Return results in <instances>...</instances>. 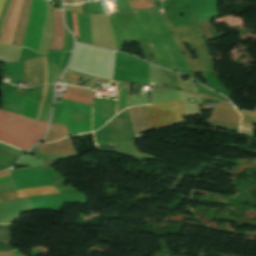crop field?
<instances>
[{
  "mask_svg": "<svg viewBox=\"0 0 256 256\" xmlns=\"http://www.w3.org/2000/svg\"><path fill=\"white\" fill-rule=\"evenodd\" d=\"M48 123L33 121L0 109V141L27 150L39 142Z\"/></svg>",
  "mask_w": 256,
  "mask_h": 256,
  "instance_id": "crop-field-1",
  "label": "crop field"
},
{
  "mask_svg": "<svg viewBox=\"0 0 256 256\" xmlns=\"http://www.w3.org/2000/svg\"><path fill=\"white\" fill-rule=\"evenodd\" d=\"M163 17L168 26L171 28L183 52L186 54L190 62L191 72L195 73L201 71H214V64L212 62L208 48L196 24L172 28L165 15H163ZM186 42H188L191 50H196L197 59L193 60L191 54L188 53L184 45Z\"/></svg>",
  "mask_w": 256,
  "mask_h": 256,
  "instance_id": "crop-field-2",
  "label": "crop field"
},
{
  "mask_svg": "<svg viewBox=\"0 0 256 256\" xmlns=\"http://www.w3.org/2000/svg\"><path fill=\"white\" fill-rule=\"evenodd\" d=\"M67 103L62 99L57 123L64 124ZM92 108L69 101L65 124L70 135L92 131Z\"/></svg>",
  "mask_w": 256,
  "mask_h": 256,
  "instance_id": "crop-field-3",
  "label": "crop field"
},
{
  "mask_svg": "<svg viewBox=\"0 0 256 256\" xmlns=\"http://www.w3.org/2000/svg\"><path fill=\"white\" fill-rule=\"evenodd\" d=\"M145 108L151 130L184 122L180 101L146 105Z\"/></svg>",
  "mask_w": 256,
  "mask_h": 256,
  "instance_id": "crop-field-4",
  "label": "crop field"
},
{
  "mask_svg": "<svg viewBox=\"0 0 256 256\" xmlns=\"http://www.w3.org/2000/svg\"><path fill=\"white\" fill-rule=\"evenodd\" d=\"M34 4H35V0H32L30 19H29L25 39H24V44H23L24 47H26L27 45ZM46 7H47V4L44 0H36L31 30H30V35H29V40L27 45L29 49H34L36 52L38 51V47H39Z\"/></svg>",
  "mask_w": 256,
  "mask_h": 256,
  "instance_id": "crop-field-5",
  "label": "crop field"
},
{
  "mask_svg": "<svg viewBox=\"0 0 256 256\" xmlns=\"http://www.w3.org/2000/svg\"><path fill=\"white\" fill-rule=\"evenodd\" d=\"M240 115L229 103L220 102L217 104L211 118L206 123L215 127L226 128L238 131Z\"/></svg>",
  "mask_w": 256,
  "mask_h": 256,
  "instance_id": "crop-field-6",
  "label": "crop field"
},
{
  "mask_svg": "<svg viewBox=\"0 0 256 256\" xmlns=\"http://www.w3.org/2000/svg\"><path fill=\"white\" fill-rule=\"evenodd\" d=\"M65 139H70V137ZM38 152L49 155H77L71 140H59L50 144H40L38 145Z\"/></svg>",
  "mask_w": 256,
  "mask_h": 256,
  "instance_id": "crop-field-7",
  "label": "crop field"
},
{
  "mask_svg": "<svg viewBox=\"0 0 256 256\" xmlns=\"http://www.w3.org/2000/svg\"><path fill=\"white\" fill-rule=\"evenodd\" d=\"M23 0H15L13 4V8L11 11V15L4 33L3 41L4 43H10L12 44L17 22H18V17L20 13V9L22 6Z\"/></svg>",
  "mask_w": 256,
  "mask_h": 256,
  "instance_id": "crop-field-8",
  "label": "crop field"
},
{
  "mask_svg": "<svg viewBox=\"0 0 256 256\" xmlns=\"http://www.w3.org/2000/svg\"><path fill=\"white\" fill-rule=\"evenodd\" d=\"M31 0H24L14 42L15 45L22 46L23 39L26 31V26L29 18V9H30Z\"/></svg>",
  "mask_w": 256,
  "mask_h": 256,
  "instance_id": "crop-field-9",
  "label": "crop field"
},
{
  "mask_svg": "<svg viewBox=\"0 0 256 256\" xmlns=\"http://www.w3.org/2000/svg\"><path fill=\"white\" fill-rule=\"evenodd\" d=\"M92 93L93 91L90 89L68 86L67 92L63 94L62 98L91 105Z\"/></svg>",
  "mask_w": 256,
  "mask_h": 256,
  "instance_id": "crop-field-10",
  "label": "crop field"
},
{
  "mask_svg": "<svg viewBox=\"0 0 256 256\" xmlns=\"http://www.w3.org/2000/svg\"><path fill=\"white\" fill-rule=\"evenodd\" d=\"M54 25H55V32H54V39H53L51 49L61 50L63 37H64V26L62 23L61 11H58L55 9H54Z\"/></svg>",
  "mask_w": 256,
  "mask_h": 256,
  "instance_id": "crop-field-11",
  "label": "crop field"
},
{
  "mask_svg": "<svg viewBox=\"0 0 256 256\" xmlns=\"http://www.w3.org/2000/svg\"><path fill=\"white\" fill-rule=\"evenodd\" d=\"M130 110H131L136 133L150 130L147 122L146 114L144 111V107L143 106L133 107V108H130Z\"/></svg>",
  "mask_w": 256,
  "mask_h": 256,
  "instance_id": "crop-field-12",
  "label": "crop field"
},
{
  "mask_svg": "<svg viewBox=\"0 0 256 256\" xmlns=\"http://www.w3.org/2000/svg\"><path fill=\"white\" fill-rule=\"evenodd\" d=\"M16 192H17V198L27 197V196H34V195H44V194L57 193L56 188L53 187V186L25 189V190H19V191H16Z\"/></svg>",
  "mask_w": 256,
  "mask_h": 256,
  "instance_id": "crop-field-13",
  "label": "crop field"
},
{
  "mask_svg": "<svg viewBox=\"0 0 256 256\" xmlns=\"http://www.w3.org/2000/svg\"><path fill=\"white\" fill-rule=\"evenodd\" d=\"M68 135L65 125L52 124L44 142H52Z\"/></svg>",
  "mask_w": 256,
  "mask_h": 256,
  "instance_id": "crop-field-14",
  "label": "crop field"
},
{
  "mask_svg": "<svg viewBox=\"0 0 256 256\" xmlns=\"http://www.w3.org/2000/svg\"><path fill=\"white\" fill-rule=\"evenodd\" d=\"M38 106V104L23 96V106L20 114L34 120L36 117Z\"/></svg>",
  "mask_w": 256,
  "mask_h": 256,
  "instance_id": "crop-field-15",
  "label": "crop field"
},
{
  "mask_svg": "<svg viewBox=\"0 0 256 256\" xmlns=\"http://www.w3.org/2000/svg\"><path fill=\"white\" fill-rule=\"evenodd\" d=\"M10 173H11V171H4V172H1V173H0V177L10 176ZM9 181H11V178H10V177L0 178V183L9 182ZM14 197H15V192L6 193V194H0V202L13 200Z\"/></svg>",
  "mask_w": 256,
  "mask_h": 256,
  "instance_id": "crop-field-16",
  "label": "crop field"
},
{
  "mask_svg": "<svg viewBox=\"0 0 256 256\" xmlns=\"http://www.w3.org/2000/svg\"><path fill=\"white\" fill-rule=\"evenodd\" d=\"M133 10L154 7L155 4L152 0H129Z\"/></svg>",
  "mask_w": 256,
  "mask_h": 256,
  "instance_id": "crop-field-17",
  "label": "crop field"
},
{
  "mask_svg": "<svg viewBox=\"0 0 256 256\" xmlns=\"http://www.w3.org/2000/svg\"><path fill=\"white\" fill-rule=\"evenodd\" d=\"M0 240H12L10 236V225H0Z\"/></svg>",
  "mask_w": 256,
  "mask_h": 256,
  "instance_id": "crop-field-18",
  "label": "crop field"
},
{
  "mask_svg": "<svg viewBox=\"0 0 256 256\" xmlns=\"http://www.w3.org/2000/svg\"><path fill=\"white\" fill-rule=\"evenodd\" d=\"M238 111L240 112V114L242 116V121L256 124V113H246L241 110H238Z\"/></svg>",
  "mask_w": 256,
  "mask_h": 256,
  "instance_id": "crop-field-19",
  "label": "crop field"
},
{
  "mask_svg": "<svg viewBox=\"0 0 256 256\" xmlns=\"http://www.w3.org/2000/svg\"><path fill=\"white\" fill-rule=\"evenodd\" d=\"M80 83V77L74 76L70 74L69 83L70 85H76L78 86Z\"/></svg>",
  "mask_w": 256,
  "mask_h": 256,
  "instance_id": "crop-field-20",
  "label": "crop field"
},
{
  "mask_svg": "<svg viewBox=\"0 0 256 256\" xmlns=\"http://www.w3.org/2000/svg\"><path fill=\"white\" fill-rule=\"evenodd\" d=\"M73 23H74V34L78 37V23L76 13H72Z\"/></svg>",
  "mask_w": 256,
  "mask_h": 256,
  "instance_id": "crop-field-21",
  "label": "crop field"
},
{
  "mask_svg": "<svg viewBox=\"0 0 256 256\" xmlns=\"http://www.w3.org/2000/svg\"><path fill=\"white\" fill-rule=\"evenodd\" d=\"M12 253H0V256H11Z\"/></svg>",
  "mask_w": 256,
  "mask_h": 256,
  "instance_id": "crop-field-22",
  "label": "crop field"
},
{
  "mask_svg": "<svg viewBox=\"0 0 256 256\" xmlns=\"http://www.w3.org/2000/svg\"><path fill=\"white\" fill-rule=\"evenodd\" d=\"M4 2H5V0H0V11H1L3 5H4Z\"/></svg>",
  "mask_w": 256,
  "mask_h": 256,
  "instance_id": "crop-field-23",
  "label": "crop field"
},
{
  "mask_svg": "<svg viewBox=\"0 0 256 256\" xmlns=\"http://www.w3.org/2000/svg\"><path fill=\"white\" fill-rule=\"evenodd\" d=\"M21 254L18 252V251H16L15 253H13V255L12 256H20Z\"/></svg>",
  "mask_w": 256,
  "mask_h": 256,
  "instance_id": "crop-field-24",
  "label": "crop field"
},
{
  "mask_svg": "<svg viewBox=\"0 0 256 256\" xmlns=\"http://www.w3.org/2000/svg\"><path fill=\"white\" fill-rule=\"evenodd\" d=\"M204 98H211V99H216V98H212V97H209V96H205L204 95ZM218 100V99H217Z\"/></svg>",
  "mask_w": 256,
  "mask_h": 256,
  "instance_id": "crop-field-25",
  "label": "crop field"
},
{
  "mask_svg": "<svg viewBox=\"0 0 256 256\" xmlns=\"http://www.w3.org/2000/svg\"><path fill=\"white\" fill-rule=\"evenodd\" d=\"M22 256V255H21Z\"/></svg>",
  "mask_w": 256,
  "mask_h": 256,
  "instance_id": "crop-field-26",
  "label": "crop field"
}]
</instances>
